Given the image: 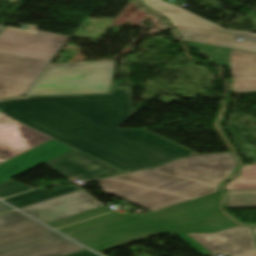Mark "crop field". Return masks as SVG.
Wrapping results in <instances>:
<instances>
[{
  "label": "crop field",
  "instance_id": "crop-field-22",
  "mask_svg": "<svg viewBox=\"0 0 256 256\" xmlns=\"http://www.w3.org/2000/svg\"><path fill=\"white\" fill-rule=\"evenodd\" d=\"M34 188L25 186L23 184L8 180L0 184V198L15 195L24 191H28Z\"/></svg>",
  "mask_w": 256,
  "mask_h": 256
},
{
  "label": "crop field",
  "instance_id": "crop-field-20",
  "mask_svg": "<svg viewBox=\"0 0 256 256\" xmlns=\"http://www.w3.org/2000/svg\"><path fill=\"white\" fill-rule=\"evenodd\" d=\"M117 218H120V217L117 216L115 213L111 212V213H108V214H105V215H102V216H99V217H96V218H93V219H90L87 221H83V222H80V223H77V224H74V225H71V226H68L65 228H61L58 230L67 234L70 232H74V231H77L80 229H84V228H87V227H90L93 225H97V224H100L103 222H107V221H110L113 219H117Z\"/></svg>",
  "mask_w": 256,
  "mask_h": 256
},
{
  "label": "crop field",
  "instance_id": "crop-field-21",
  "mask_svg": "<svg viewBox=\"0 0 256 256\" xmlns=\"http://www.w3.org/2000/svg\"><path fill=\"white\" fill-rule=\"evenodd\" d=\"M109 211H111V210L108 209L106 206H104V207H101V208H97V209H94V210H91V211H87V212H84V213H81V214H77V215L67 217V218L57 220V221L47 223V224L54 227V228H57V227H61V226H64V225H67V224H70V223H73V222H77V221H80V220H83V219H86V218H89V217L99 215V214H102V213H106V212H109Z\"/></svg>",
  "mask_w": 256,
  "mask_h": 256
},
{
  "label": "crop field",
  "instance_id": "crop-field-17",
  "mask_svg": "<svg viewBox=\"0 0 256 256\" xmlns=\"http://www.w3.org/2000/svg\"><path fill=\"white\" fill-rule=\"evenodd\" d=\"M226 190L256 189V164L242 167L239 176L225 186Z\"/></svg>",
  "mask_w": 256,
  "mask_h": 256
},
{
  "label": "crop field",
  "instance_id": "crop-field-19",
  "mask_svg": "<svg viewBox=\"0 0 256 256\" xmlns=\"http://www.w3.org/2000/svg\"><path fill=\"white\" fill-rule=\"evenodd\" d=\"M52 139L51 137L41 133L3 153H0V163L9 159V158H12L22 152H25L37 145H40L48 140Z\"/></svg>",
  "mask_w": 256,
  "mask_h": 256
},
{
  "label": "crop field",
  "instance_id": "crop-field-26",
  "mask_svg": "<svg viewBox=\"0 0 256 256\" xmlns=\"http://www.w3.org/2000/svg\"><path fill=\"white\" fill-rule=\"evenodd\" d=\"M254 230H255V234H256V228H254Z\"/></svg>",
  "mask_w": 256,
  "mask_h": 256
},
{
  "label": "crop field",
  "instance_id": "crop-field-24",
  "mask_svg": "<svg viewBox=\"0 0 256 256\" xmlns=\"http://www.w3.org/2000/svg\"><path fill=\"white\" fill-rule=\"evenodd\" d=\"M249 256H256V253H254V254H251V255H249Z\"/></svg>",
  "mask_w": 256,
  "mask_h": 256
},
{
  "label": "crop field",
  "instance_id": "crop-field-10",
  "mask_svg": "<svg viewBox=\"0 0 256 256\" xmlns=\"http://www.w3.org/2000/svg\"><path fill=\"white\" fill-rule=\"evenodd\" d=\"M49 167L69 179L90 182L104 176L123 173L122 171L92 158L78 150H73L48 163Z\"/></svg>",
  "mask_w": 256,
  "mask_h": 256
},
{
  "label": "crop field",
  "instance_id": "crop-field-3",
  "mask_svg": "<svg viewBox=\"0 0 256 256\" xmlns=\"http://www.w3.org/2000/svg\"><path fill=\"white\" fill-rule=\"evenodd\" d=\"M236 165L231 152L198 155L109 179L187 197L150 209L154 212L218 192L220 183L233 175Z\"/></svg>",
  "mask_w": 256,
  "mask_h": 256
},
{
  "label": "crop field",
  "instance_id": "crop-field-16",
  "mask_svg": "<svg viewBox=\"0 0 256 256\" xmlns=\"http://www.w3.org/2000/svg\"><path fill=\"white\" fill-rule=\"evenodd\" d=\"M79 188L72 185L56 190L49 191L47 189L41 188L38 190H34L28 193H24L18 196H14L8 199H4L5 201L9 202L10 204L20 208L30 204H34L37 202H41L47 199H51L54 197H58L61 195L69 194L72 192L77 191Z\"/></svg>",
  "mask_w": 256,
  "mask_h": 256
},
{
  "label": "crop field",
  "instance_id": "crop-field-9",
  "mask_svg": "<svg viewBox=\"0 0 256 256\" xmlns=\"http://www.w3.org/2000/svg\"><path fill=\"white\" fill-rule=\"evenodd\" d=\"M101 206L104 205L86 191L79 189L78 192L20 209L47 223Z\"/></svg>",
  "mask_w": 256,
  "mask_h": 256
},
{
  "label": "crop field",
  "instance_id": "crop-field-14",
  "mask_svg": "<svg viewBox=\"0 0 256 256\" xmlns=\"http://www.w3.org/2000/svg\"><path fill=\"white\" fill-rule=\"evenodd\" d=\"M141 1L145 3L147 6H149L151 9H153L154 11L166 16L174 25V27L184 26V27L204 28V29H213V30H223L184 10L166 5L161 0H141Z\"/></svg>",
  "mask_w": 256,
  "mask_h": 256
},
{
  "label": "crop field",
  "instance_id": "crop-field-2",
  "mask_svg": "<svg viewBox=\"0 0 256 256\" xmlns=\"http://www.w3.org/2000/svg\"><path fill=\"white\" fill-rule=\"evenodd\" d=\"M220 202L218 193L149 215H132L69 236L100 252L159 233L216 232L237 226L218 210Z\"/></svg>",
  "mask_w": 256,
  "mask_h": 256
},
{
  "label": "crop field",
  "instance_id": "crop-field-1",
  "mask_svg": "<svg viewBox=\"0 0 256 256\" xmlns=\"http://www.w3.org/2000/svg\"><path fill=\"white\" fill-rule=\"evenodd\" d=\"M133 114L130 89L0 101V123L16 119L124 172L196 154L146 129H117Z\"/></svg>",
  "mask_w": 256,
  "mask_h": 256
},
{
  "label": "crop field",
  "instance_id": "crop-field-6",
  "mask_svg": "<svg viewBox=\"0 0 256 256\" xmlns=\"http://www.w3.org/2000/svg\"><path fill=\"white\" fill-rule=\"evenodd\" d=\"M115 61L49 65L26 95L108 93Z\"/></svg>",
  "mask_w": 256,
  "mask_h": 256
},
{
  "label": "crop field",
  "instance_id": "crop-field-7",
  "mask_svg": "<svg viewBox=\"0 0 256 256\" xmlns=\"http://www.w3.org/2000/svg\"><path fill=\"white\" fill-rule=\"evenodd\" d=\"M204 256L223 252L227 256H243L256 252L249 227H233L216 233L178 234Z\"/></svg>",
  "mask_w": 256,
  "mask_h": 256
},
{
  "label": "crop field",
  "instance_id": "crop-field-4",
  "mask_svg": "<svg viewBox=\"0 0 256 256\" xmlns=\"http://www.w3.org/2000/svg\"><path fill=\"white\" fill-rule=\"evenodd\" d=\"M69 38L4 29L0 34V99L23 96Z\"/></svg>",
  "mask_w": 256,
  "mask_h": 256
},
{
  "label": "crop field",
  "instance_id": "crop-field-12",
  "mask_svg": "<svg viewBox=\"0 0 256 256\" xmlns=\"http://www.w3.org/2000/svg\"><path fill=\"white\" fill-rule=\"evenodd\" d=\"M184 41L222 46L256 53V35L194 28H176ZM242 41H236L237 38Z\"/></svg>",
  "mask_w": 256,
  "mask_h": 256
},
{
  "label": "crop field",
  "instance_id": "crop-field-8",
  "mask_svg": "<svg viewBox=\"0 0 256 256\" xmlns=\"http://www.w3.org/2000/svg\"><path fill=\"white\" fill-rule=\"evenodd\" d=\"M188 46L208 57L211 62L221 64L232 72L231 92L256 90V54L217 48L208 45L187 43ZM202 49L206 50L204 52ZM218 53V55L213 54Z\"/></svg>",
  "mask_w": 256,
  "mask_h": 256
},
{
  "label": "crop field",
  "instance_id": "crop-field-13",
  "mask_svg": "<svg viewBox=\"0 0 256 256\" xmlns=\"http://www.w3.org/2000/svg\"><path fill=\"white\" fill-rule=\"evenodd\" d=\"M105 180H108L113 183L129 186V187L137 188V189H142L145 191L114 185V184L106 182ZM98 184H99L100 189L104 193L115 196L117 198H120V199H123L126 201H129V202H132L134 204L140 205L147 209L184 198V197L178 196L180 198L177 199L176 195L163 193V192H159V191H155V190H151V189H146V188H142V187H138V186H134V185H130V184H125V183H121V182H117V181H113V180H109V179H103V180L99 181ZM117 189H120L121 191L118 192ZM131 191L134 193L130 194L129 192H131ZM151 193H155V195L153 196V195H151ZM164 194H167V196H163ZM144 195H147V197L144 198L143 197ZM136 197H139L140 200L135 199ZM155 198H157L158 200L154 201L153 199H155ZM168 199H171V201H168ZM146 201H149V203H146ZM160 202H163V204H159ZM153 204H156V206H153Z\"/></svg>",
  "mask_w": 256,
  "mask_h": 256
},
{
  "label": "crop field",
  "instance_id": "crop-field-11",
  "mask_svg": "<svg viewBox=\"0 0 256 256\" xmlns=\"http://www.w3.org/2000/svg\"><path fill=\"white\" fill-rule=\"evenodd\" d=\"M74 148L52 139L0 164V183L61 156Z\"/></svg>",
  "mask_w": 256,
  "mask_h": 256
},
{
  "label": "crop field",
  "instance_id": "crop-field-25",
  "mask_svg": "<svg viewBox=\"0 0 256 256\" xmlns=\"http://www.w3.org/2000/svg\"><path fill=\"white\" fill-rule=\"evenodd\" d=\"M3 28H4L3 26H0V31H1Z\"/></svg>",
  "mask_w": 256,
  "mask_h": 256
},
{
  "label": "crop field",
  "instance_id": "crop-field-5",
  "mask_svg": "<svg viewBox=\"0 0 256 256\" xmlns=\"http://www.w3.org/2000/svg\"><path fill=\"white\" fill-rule=\"evenodd\" d=\"M0 256H98L18 211L0 215Z\"/></svg>",
  "mask_w": 256,
  "mask_h": 256
},
{
  "label": "crop field",
  "instance_id": "crop-field-15",
  "mask_svg": "<svg viewBox=\"0 0 256 256\" xmlns=\"http://www.w3.org/2000/svg\"><path fill=\"white\" fill-rule=\"evenodd\" d=\"M41 132L15 120L0 124V152H3Z\"/></svg>",
  "mask_w": 256,
  "mask_h": 256
},
{
  "label": "crop field",
  "instance_id": "crop-field-18",
  "mask_svg": "<svg viewBox=\"0 0 256 256\" xmlns=\"http://www.w3.org/2000/svg\"><path fill=\"white\" fill-rule=\"evenodd\" d=\"M225 208L256 207V190L226 191Z\"/></svg>",
  "mask_w": 256,
  "mask_h": 256
},
{
  "label": "crop field",
  "instance_id": "crop-field-23",
  "mask_svg": "<svg viewBox=\"0 0 256 256\" xmlns=\"http://www.w3.org/2000/svg\"><path fill=\"white\" fill-rule=\"evenodd\" d=\"M10 210H13V209L11 207H9L8 205L0 202V213L10 211Z\"/></svg>",
  "mask_w": 256,
  "mask_h": 256
}]
</instances>
